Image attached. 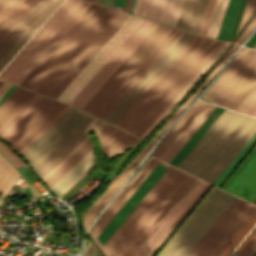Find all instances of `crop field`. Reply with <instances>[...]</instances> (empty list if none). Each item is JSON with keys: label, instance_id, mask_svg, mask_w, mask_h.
Segmentation results:
<instances>
[{"label": "crop field", "instance_id": "63", "mask_svg": "<svg viewBox=\"0 0 256 256\" xmlns=\"http://www.w3.org/2000/svg\"><path fill=\"white\" fill-rule=\"evenodd\" d=\"M11 84L3 82L0 86V97L7 91Z\"/></svg>", "mask_w": 256, "mask_h": 256}, {"label": "crop field", "instance_id": "64", "mask_svg": "<svg viewBox=\"0 0 256 256\" xmlns=\"http://www.w3.org/2000/svg\"><path fill=\"white\" fill-rule=\"evenodd\" d=\"M256 43V32L254 35L248 40V42L245 44L246 46L252 48L253 45Z\"/></svg>", "mask_w": 256, "mask_h": 256}, {"label": "crop field", "instance_id": "18", "mask_svg": "<svg viewBox=\"0 0 256 256\" xmlns=\"http://www.w3.org/2000/svg\"><path fill=\"white\" fill-rule=\"evenodd\" d=\"M159 164L164 165L166 167L169 166L161 161L159 162ZM159 164L153 169V171L148 175V177L143 181V183L138 187V189L133 193V195L128 199V201L113 217V219L109 222V224L99 234L97 238L102 243V245L107 241V239L111 236V234L116 230V228L121 224V222L126 218V216L140 201V199L145 195V193L150 189V187L165 171L166 167L161 166ZM97 238L94 241L101 248L102 245L97 240Z\"/></svg>", "mask_w": 256, "mask_h": 256}, {"label": "crop field", "instance_id": "22", "mask_svg": "<svg viewBox=\"0 0 256 256\" xmlns=\"http://www.w3.org/2000/svg\"><path fill=\"white\" fill-rule=\"evenodd\" d=\"M65 106H66V104H63V103L53 100L43 111H41L9 143L18 152L33 136H35Z\"/></svg>", "mask_w": 256, "mask_h": 256}, {"label": "crop field", "instance_id": "40", "mask_svg": "<svg viewBox=\"0 0 256 256\" xmlns=\"http://www.w3.org/2000/svg\"><path fill=\"white\" fill-rule=\"evenodd\" d=\"M256 143V133L253 137L248 141V143L244 146V148L239 152V154L234 158V160L230 163V165L225 169V171L220 175V177L215 181L214 185L220 187L221 184L226 180V178L231 174V172L236 168V166L241 162V160L245 157V155L250 151V149Z\"/></svg>", "mask_w": 256, "mask_h": 256}, {"label": "crop field", "instance_id": "50", "mask_svg": "<svg viewBox=\"0 0 256 256\" xmlns=\"http://www.w3.org/2000/svg\"><path fill=\"white\" fill-rule=\"evenodd\" d=\"M256 98V85L250 91V93L246 96V98L241 102V104L237 107L236 111L244 113L245 110L250 106V104Z\"/></svg>", "mask_w": 256, "mask_h": 256}, {"label": "crop field", "instance_id": "46", "mask_svg": "<svg viewBox=\"0 0 256 256\" xmlns=\"http://www.w3.org/2000/svg\"><path fill=\"white\" fill-rule=\"evenodd\" d=\"M41 95L36 94L30 101H28L16 114H14L2 127H0V135L11 126L31 105H33Z\"/></svg>", "mask_w": 256, "mask_h": 256}, {"label": "crop field", "instance_id": "13", "mask_svg": "<svg viewBox=\"0 0 256 256\" xmlns=\"http://www.w3.org/2000/svg\"><path fill=\"white\" fill-rule=\"evenodd\" d=\"M193 35L194 33L184 31L165 52V54L157 61V63L149 70V72L141 79V81L133 88V90L125 97V99L117 106V108L109 115L106 121L115 125Z\"/></svg>", "mask_w": 256, "mask_h": 256}, {"label": "crop field", "instance_id": "62", "mask_svg": "<svg viewBox=\"0 0 256 256\" xmlns=\"http://www.w3.org/2000/svg\"><path fill=\"white\" fill-rule=\"evenodd\" d=\"M107 125L105 122H101L96 128H94L92 131L94 132L95 136Z\"/></svg>", "mask_w": 256, "mask_h": 256}, {"label": "crop field", "instance_id": "31", "mask_svg": "<svg viewBox=\"0 0 256 256\" xmlns=\"http://www.w3.org/2000/svg\"><path fill=\"white\" fill-rule=\"evenodd\" d=\"M96 161L94 150L92 149L82 160H80L63 178H61L52 188L58 196L71 182L83 173L91 164Z\"/></svg>", "mask_w": 256, "mask_h": 256}, {"label": "crop field", "instance_id": "35", "mask_svg": "<svg viewBox=\"0 0 256 256\" xmlns=\"http://www.w3.org/2000/svg\"><path fill=\"white\" fill-rule=\"evenodd\" d=\"M227 42H224L221 47L213 54V56L206 62V64L198 71V73L190 80V82L183 88V90L175 97V99L167 106V108L159 115V117L152 123V125L141 136L143 138L149 134L153 128L160 122V120L167 114V112L174 106V104L182 97V95L189 89V87L196 81V79L204 72V70L211 64V62L218 56V54L225 48ZM228 46V45H227ZM226 46V47H227ZM220 55V54H219Z\"/></svg>", "mask_w": 256, "mask_h": 256}, {"label": "crop field", "instance_id": "56", "mask_svg": "<svg viewBox=\"0 0 256 256\" xmlns=\"http://www.w3.org/2000/svg\"><path fill=\"white\" fill-rule=\"evenodd\" d=\"M115 129L111 125H107L96 137L99 140V145L107 138V136Z\"/></svg>", "mask_w": 256, "mask_h": 256}, {"label": "crop field", "instance_id": "34", "mask_svg": "<svg viewBox=\"0 0 256 256\" xmlns=\"http://www.w3.org/2000/svg\"><path fill=\"white\" fill-rule=\"evenodd\" d=\"M93 148L90 139L82 145L68 160H66L52 175L44 182L50 188L58 181L71 167H73L85 154Z\"/></svg>", "mask_w": 256, "mask_h": 256}, {"label": "crop field", "instance_id": "51", "mask_svg": "<svg viewBox=\"0 0 256 256\" xmlns=\"http://www.w3.org/2000/svg\"><path fill=\"white\" fill-rule=\"evenodd\" d=\"M70 106H66L47 126H45L31 141H29L18 153H22L28 146H30L45 130H47L62 114H64Z\"/></svg>", "mask_w": 256, "mask_h": 256}, {"label": "crop field", "instance_id": "43", "mask_svg": "<svg viewBox=\"0 0 256 256\" xmlns=\"http://www.w3.org/2000/svg\"><path fill=\"white\" fill-rule=\"evenodd\" d=\"M140 140L139 138L127 133L118 143L117 145L106 155L108 158L107 161L111 160L114 158L116 155L124 151L126 148L134 144ZM106 161V162H107Z\"/></svg>", "mask_w": 256, "mask_h": 256}, {"label": "crop field", "instance_id": "28", "mask_svg": "<svg viewBox=\"0 0 256 256\" xmlns=\"http://www.w3.org/2000/svg\"><path fill=\"white\" fill-rule=\"evenodd\" d=\"M34 95L35 93L17 87L0 105V126Z\"/></svg>", "mask_w": 256, "mask_h": 256}, {"label": "crop field", "instance_id": "6", "mask_svg": "<svg viewBox=\"0 0 256 256\" xmlns=\"http://www.w3.org/2000/svg\"><path fill=\"white\" fill-rule=\"evenodd\" d=\"M234 198L213 187L157 256H187Z\"/></svg>", "mask_w": 256, "mask_h": 256}, {"label": "crop field", "instance_id": "75", "mask_svg": "<svg viewBox=\"0 0 256 256\" xmlns=\"http://www.w3.org/2000/svg\"><path fill=\"white\" fill-rule=\"evenodd\" d=\"M2 83V81H0V84Z\"/></svg>", "mask_w": 256, "mask_h": 256}, {"label": "crop field", "instance_id": "49", "mask_svg": "<svg viewBox=\"0 0 256 256\" xmlns=\"http://www.w3.org/2000/svg\"><path fill=\"white\" fill-rule=\"evenodd\" d=\"M256 253V232L236 256H253Z\"/></svg>", "mask_w": 256, "mask_h": 256}, {"label": "crop field", "instance_id": "70", "mask_svg": "<svg viewBox=\"0 0 256 256\" xmlns=\"http://www.w3.org/2000/svg\"><path fill=\"white\" fill-rule=\"evenodd\" d=\"M7 0H0V8Z\"/></svg>", "mask_w": 256, "mask_h": 256}, {"label": "crop field", "instance_id": "36", "mask_svg": "<svg viewBox=\"0 0 256 256\" xmlns=\"http://www.w3.org/2000/svg\"><path fill=\"white\" fill-rule=\"evenodd\" d=\"M256 222V212L252 215V217L247 221V223L242 227V229L237 233V235L232 239V241L227 245V247L222 251V253L219 256H226L225 254L227 253V251L230 250H234V248L238 245V243L242 240V238L246 235V233L251 229V227L255 224ZM256 225V224H255ZM254 225V226H255ZM253 226V227H254ZM252 227V229H253ZM251 229V230H252ZM250 230V231H251ZM249 231V232H250ZM256 231V226L254 227V229L248 234V236L243 240V242L237 247V249L235 250V254L232 251H228L227 255L229 256H234L238 253V251L243 247V245L248 241V239L253 235V233Z\"/></svg>", "mask_w": 256, "mask_h": 256}, {"label": "crop field", "instance_id": "45", "mask_svg": "<svg viewBox=\"0 0 256 256\" xmlns=\"http://www.w3.org/2000/svg\"><path fill=\"white\" fill-rule=\"evenodd\" d=\"M216 0H208L198 32L199 34H206L212 13H213V9L215 6Z\"/></svg>", "mask_w": 256, "mask_h": 256}, {"label": "crop field", "instance_id": "41", "mask_svg": "<svg viewBox=\"0 0 256 256\" xmlns=\"http://www.w3.org/2000/svg\"><path fill=\"white\" fill-rule=\"evenodd\" d=\"M16 170L0 155V191L6 188L13 176L16 174Z\"/></svg>", "mask_w": 256, "mask_h": 256}, {"label": "crop field", "instance_id": "3", "mask_svg": "<svg viewBox=\"0 0 256 256\" xmlns=\"http://www.w3.org/2000/svg\"><path fill=\"white\" fill-rule=\"evenodd\" d=\"M214 42L195 34L116 126L134 134Z\"/></svg>", "mask_w": 256, "mask_h": 256}, {"label": "crop field", "instance_id": "12", "mask_svg": "<svg viewBox=\"0 0 256 256\" xmlns=\"http://www.w3.org/2000/svg\"><path fill=\"white\" fill-rule=\"evenodd\" d=\"M155 24L144 19L70 104L81 109Z\"/></svg>", "mask_w": 256, "mask_h": 256}, {"label": "crop field", "instance_id": "14", "mask_svg": "<svg viewBox=\"0 0 256 256\" xmlns=\"http://www.w3.org/2000/svg\"><path fill=\"white\" fill-rule=\"evenodd\" d=\"M206 185L196 178L133 256H148Z\"/></svg>", "mask_w": 256, "mask_h": 256}, {"label": "crop field", "instance_id": "74", "mask_svg": "<svg viewBox=\"0 0 256 256\" xmlns=\"http://www.w3.org/2000/svg\"><path fill=\"white\" fill-rule=\"evenodd\" d=\"M253 203H255V204H256V199L253 201Z\"/></svg>", "mask_w": 256, "mask_h": 256}, {"label": "crop field", "instance_id": "76", "mask_svg": "<svg viewBox=\"0 0 256 256\" xmlns=\"http://www.w3.org/2000/svg\"><path fill=\"white\" fill-rule=\"evenodd\" d=\"M90 1V0H89Z\"/></svg>", "mask_w": 256, "mask_h": 256}, {"label": "crop field", "instance_id": "39", "mask_svg": "<svg viewBox=\"0 0 256 256\" xmlns=\"http://www.w3.org/2000/svg\"><path fill=\"white\" fill-rule=\"evenodd\" d=\"M36 0H23L0 26V40Z\"/></svg>", "mask_w": 256, "mask_h": 256}, {"label": "crop field", "instance_id": "61", "mask_svg": "<svg viewBox=\"0 0 256 256\" xmlns=\"http://www.w3.org/2000/svg\"><path fill=\"white\" fill-rule=\"evenodd\" d=\"M19 173L17 172V174L15 175V177L12 179V181L10 182V184L8 185V187L5 189V191L3 192V194L0 197V204L4 198V196L6 195V193L9 191V189L11 188V186L14 184V182L16 181V179L19 177Z\"/></svg>", "mask_w": 256, "mask_h": 256}, {"label": "crop field", "instance_id": "8", "mask_svg": "<svg viewBox=\"0 0 256 256\" xmlns=\"http://www.w3.org/2000/svg\"><path fill=\"white\" fill-rule=\"evenodd\" d=\"M194 179L182 172L113 256H132Z\"/></svg>", "mask_w": 256, "mask_h": 256}, {"label": "crop field", "instance_id": "5", "mask_svg": "<svg viewBox=\"0 0 256 256\" xmlns=\"http://www.w3.org/2000/svg\"><path fill=\"white\" fill-rule=\"evenodd\" d=\"M176 30L157 23L82 110L100 118Z\"/></svg>", "mask_w": 256, "mask_h": 256}, {"label": "crop field", "instance_id": "27", "mask_svg": "<svg viewBox=\"0 0 256 256\" xmlns=\"http://www.w3.org/2000/svg\"><path fill=\"white\" fill-rule=\"evenodd\" d=\"M207 0H184L177 27L197 32Z\"/></svg>", "mask_w": 256, "mask_h": 256}, {"label": "crop field", "instance_id": "71", "mask_svg": "<svg viewBox=\"0 0 256 256\" xmlns=\"http://www.w3.org/2000/svg\"><path fill=\"white\" fill-rule=\"evenodd\" d=\"M252 116H255V117H256V110L253 112Z\"/></svg>", "mask_w": 256, "mask_h": 256}, {"label": "crop field", "instance_id": "58", "mask_svg": "<svg viewBox=\"0 0 256 256\" xmlns=\"http://www.w3.org/2000/svg\"><path fill=\"white\" fill-rule=\"evenodd\" d=\"M227 1L228 0H224V2H223V5H222V8H221L219 17H218V21H217V24H216V27H215V30H214V33H213V36H212L213 38H216L218 29H219V26H220V23H221V20H222V17H223V14H224V11H225V8H226V5H227Z\"/></svg>", "mask_w": 256, "mask_h": 256}, {"label": "crop field", "instance_id": "73", "mask_svg": "<svg viewBox=\"0 0 256 256\" xmlns=\"http://www.w3.org/2000/svg\"><path fill=\"white\" fill-rule=\"evenodd\" d=\"M253 49H256V44L254 45Z\"/></svg>", "mask_w": 256, "mask_h": 256}, {"label": "crop field", "instance_id": "69", "mask_svg": "<svg viewBox=\"0 0 256 256\" xmlns=\"http://www.w3.org/2000/svg\"><path fill=\"white\" fill-rule=\"evenodd\" d=\"M134 3H135V0H133V2H132V5H131V8H130V13L132 12V9H133V6H134Z\"/></svg>", "mask_w": 256, "mask_h": 256}, {"label": "crop field", "instance_id": "10", "mask_svg": "<svg viewBox=\"0 0 256 256\" xmlns=\"http://www.w3.org/2000/svg\"><path fill=\"white\" fill-rule=\"evenodd\" d=\"M142 20L143 18L130 15L120 26V28L112 35V37L105 43V45L90 60V62L75 77V79L60 94L57 100L69 104Z\"/></svg>", "mask_w": 256, "mask_h": 256}, {"label": "crop field", "instance_id": "15", "mask_svg": "<svg viewBox=\"0 0 256 256\" xmlns=\"http://www.w3.org/2000/svg\"><path fill=\"white\" fill-rule=\"evenodd\" d=\"M248 205L236 197L188 256H207Z\"/></svg>", "mask_w": 256, "mask_h": 256}, {"label": "crop field", "instance_id": "72", "mask_svg": "<svg viewBox=\"0 0 256 256\" xmlns=\"http://www.w3.org/2000/svg\"><path fill=\"white\" fill-rule=\"evenodd\" d=\"M91 1H92V2H95V3L97 2V0H91Z\"/></svg>", "mask_w": 256, "mask_h": 256}, {"label": "crop field", "instance_id": "25", "mask_svg": "<svg viewBox=\"0 0 256 256\" xmlns=\"http://www.w3.org/2000/svg\"><path fill=\"white\" fill-rule=\"evenodd\" d=\"M214 107L215 105L211 106L205 104L203 108L197 113V115L191 120V122L185 127V129L180 133V135L174 140V142L168 147V149L162 154L160 159L169 163L170 160L194 133V131L214 109Z\"/></svg>", "mask_w": 256, "mask_h": 256}, {"label": "crop field", "instance_id": "42", "mask_svg": "<svg viewBox=\"0 0 256 256\" xmlns=\"http://www.w3.org/2000/svg\"><path fill=\"white\" fill-rule=\"evenodd\" d=\"M210 187L211 185L209 184L206 186V188L201 192V194L196 198V200L191 204V206L186 210V212L181 216V218L176 222V224L171 228V230L165 235V237L160 241V243L155 247V249L150 253L149 256H153L158 251V249L174 232V230L179 226V224L184 220V218L189 214V212L194 208V206L199 202V200L204 196V194L209 190Z\"/></svg>", "mask_w": 256, "mask_h": 256}, {"label": "crop field", "instance_id": "48", "mask_svg": "<svg viewBox=\"0 0 256 256\" xmlns=\"http://www.w3.org/2000/svg\"><path fill=\"white\" fill-rule=\"evenodd\" d=\"M22 0H8L0 9V25Z\"/></svg>", "mask_w": 256, "mask_h": 256}, {"label": "crop field", "instance_id": "30", "mask_svg": "<svg viewBox=\"0 0 256 256\" xmlns=\"http://www.w3.org/2000/svg\"><path fill=\"white\" fill-rule=\"evenodd\" d=\"M204 103L196 101L193 106L178 120V122L171 128L170 132L159 144V146L153 152V156L159 158L181 130L187 125L197 111L202 107Z\"/></svg>", "mask_w": 256, "mask_h": 256}, {"label": "crop field", "instance_id": "68", "mask_svg": "<svg viewBox=\"0 0 256 256\" xmlns=\"http://www.w3.org/2000/svg\"><path fill=\"white\" fill-rule=\"evenodd\" d=\"M16 88V86L12 85V87L3 95L0 99V103Z\"/></svg>", "mask_w": 256, "mask_h": 256}, {"label": "crop field", "instance_id": "4", "mask_svg": "<svg viewBox=\"0 0 256 256\" xmlns=\"http://www.w3.org/2000/svg\"><path fill=\"white\" fill-rule=\"evenodd\" d=\"M90 4L83 0H65L1 72L0 79L19 85Z\"/></svg>", "mask_w": 256, "mask_h": 256}, {"label": "crop field", "instance_id": "66", "mask_svg": "<svg viewBox=\"0 0 256 256\" xmlns=\"http://www.w3.org/2000/svg\"><path fill=\"white\" fill-rule=\"evenodd\" d=\"M256 109V100L251 104V106L246 110L245 114L251 115L252 112Z\"/></svg>", "mask_w": 256, "mask_h": 256}, {"label": "crop field", "instance_id": "16", "mask_svg": "<svg viewBox=\"0 0 256 256\" xmlns=\"http://www.w3.org/2000/svg\"><path fill=\"white\" fill-rule=\"evenodd\" d=\"M182 105L178 108V110L171 116V118L166 122V124L159 130V132L151 139V141L145 146V148L126 166V168L118 175V177L112 182L109 188L101 195V197L90 206L84 216L83 227L85 231L91 224L92 220L99 213V211L108 203V201L112 198V196L116 193L119 187L123 184V182L130 175L132 170L138 164V162L142 159V157L146 154V152L152 147V145L158 140V138L162 135V133L166 130V128L170 125V123L180 114V112L184 109Z\"/></svg>", "mask_w": 256, "mask_h": 256}, {"label": "crop field", "instance_id": "17", "mask_svg": "<svg viewBox=\"0 0 256 256\" xmlns=\"http://www.w3.org/2000/svg\"><path fill=\"white\" fill-rule=\"evenodd\" d=\"M222 189L250 202L256 197V147L223 185Z\"/></svg>", "mask_w": 256, "mask_h": 256}, {"label": "crop field", "instance_id": "54", "mask_svg": "<svg viewBox=\"0 0 256 256\" xmlns=\"http://www.w3.org/2000/svg\"><path fill=\"white\" fill-rule=\"evenodd\" d=\"M222 2H223V0H217L216 6L214 9V13H213V16H212V19H211V22H210V25H209V28H208V31L206 34L207 36H210V37L212 36Z\"/></svg>", "mask_w": 256, "mask_h": 256}, {"label": "crop field", "instance_id": "24", "mask_svg": "<svg viewBox=\"0 0 256 256\" xmlns=\"http://www.w3.org/2000/svg\"><path fill=\"white\" fill-rule=\"evenodd\" d=\"M223 42L216 41L213 46L206 52V54L198 61V63L191 69V71L183 78V80L176 86V88L168 95V97L160 104V106L153 112V114L145 121V123L135 133L141 136L153 120L160 114V112L169 104V102L177 95V93L186 85V83L194 76V74L203 66V64L211 57V55L220 47Z\"/></svg>", "mask_w": 256, "mask_h": 256}, {"label": "crop field", "instance_id": "38", "mask_svg": "<svg viewBox=\"0 0 256 256\" xmlns=\"http://www.w3.org/2000/svg\"><path fill=\"white\" fill-rule=\"evenodd\" d=\"M240 0H229L217 38L227 40Z\"/></svg>", "mask_w": 256, "mask_h": 256}, {"label": "crop field", "instance_id": "33", "mask_svg": "<svg viewBox=\"0 0 256 256\" xmlns=\"http://www.w3.org/2000/svg\"><path fill=\"white\" fill-rule=\"evenodd\" d=\"M62 0H54L49 7L41 14V16L34 22V24L26 31V33L18 40V42L10 49V51L0 61V70L11 59V57L19 50V48L26 42V40L33 34V32L40 26V24L48 17V15L55 9V7Z\"/></svg>", "mask_w": 256, "mask_h": 256}, {"label": "crop field", "instance_id": "47", "mask_svg": "<svg viewBox=\"0 0 256 256\" xmlns=\"http://www.w3.org/2000/svg\"><path fill=\"white\" fill-rule=\"evenodd\" d=\"M238 47V45L234 44L231 51L222 59V61L215 67V69L211 72V74L206 78V80L201 84V86L184 102L185 105L189 104L190 101L195 97V95L200 91V89L215 75V73L219 70V68L224 64L227 58L231 55V53Z\"/></svg>", "mask_w": 256, "mask_h": 256}, {"label": "crop field", "instance_id": "23", "mask_svg": "<svg viewBox=\"0 0 256 256\" xmlns=\"http://www.w3.org/2000/svg\"><path fill=\"white\" fill-rule=\"evenodd\" d=\"M156 161L157 159L150 158L148 162L142 167V169L137 173V175L131 180V182L127 186H125L122 191L117 195V197L108 207V209L97 221L96 225L89 232L92 238L110 218V216L115 212V210L120 206V204L125 200V198L130 194V192L135 188V186L140 182V180L145 176V174L150 170V168L155 164Z\"/></svg>", "mask_w": 256, "mask_h": 256}, {"label": "crop field", "instance_id": "26", "mask_svg": "<svg viewBox=\"0 0 256 256\" xmlns=\"http://www.w3.org/2000/svg\"><path fill=\"white\" fill-rule=\"evenodd\" d=\"M97 4H91L89 8L81 15V17L72 25V27L64 34V36L56 43V45L48 52V54L40 61V63L31 71V73L23 80L20 86L26 88L43 67L51 60L58 50L66 43L80 25L95 10Z\"/></svg>", "mask_w": 256, "mask_h": 256}, {"label": "crop field", "instance_id": "21", "mask_svg": "<svg viewBox=\"0 0 256 256\" xmlns=\"http://www.w3.org/2000/svg\"><path fill=\"white\" fill-rule=\"evenodd\" d=\"M53 0H37L0 41V60Z\"/></svg>", "mask_w": 256, "mask_h": 256}, {"label": "crop field", "instance_id": "32", "mask_svg": "<svg viewBox=\"0 0 256 256\" xmlns=\"http://www.w3.org/2000/svg\"><path fill=\"white\" fill-rule=\"evenodd\" d=\"M182 32L183 30H177V32L169 39V41L161 48V50L154 56V58L147 64V66L140 72V74L132 81V83L104 113L101 119L105 120L108 117V115L116 108V106L124 99V97L132 90V88L140 81V79L147 73V71L155 64V62L163 55V53L171 46V44L179 37Z\"/></svg>", "mask_w": 256, "mask_h": 256}, {"label": "crop field", "instance_id": "55", "mask_svg": "<svg viewBox=\"0 0 256 256\" xmlns=\"http://www.w3.org/2000/svg\"><path fill=\"white\" fill-rule=\"evenodd\" d=\"M0 151L16 166H21L23 165V163L15 156L13 155L8 149L7 147L0 142Z\"/></svg>", "mask_w": 256, "mask_h": 256}, {"label": "crop field", "instance_id": "65", "mask_svg": "<svg viewBox=\"0 0 256 256\" xmlns=\"http://www.w3.org/2000/svg\"><path fill=\"white\" fill-rule=\"evenodd\" d=\"M95 165V163L90 167L88 168L76 181H74L64 192H62L61 194H64L67 190H69L82 176H84L93 166ZM60 194V195H61ZM59 195V196H60ZM58 196V197H59Z\"/></svg>", "mask_w": 256, "mask_h": 256}, {"label": "crop field", "instance_id": "67", "mask_svg": "<svg viewBox=\"0 0 256 256\" xmlns=\"http://www.w3.org/2000/svg\"><path fill=\"white\" fill-rule=\"evenodd\" d=\"M98 4L106 5V6H112L113 0H98Z\"/></svg>", "mask_w": 256, "mask_h": 256}, {"label": "crop field", "instance_id": "53", "mask_svg": "<svg viewBox=\"0 0 256 256\" xmlns=\"http://www.w3.org/2000/svg\"><path fill=\"white\" fill-rule=\"evenodd\" d=\"M255 6H256V0H248L247 1V4H246V7H245V10H244L242 19H241V23H240L238 32L241 29V27L244 25L246 20L249 18V16L251 15V13H252L253 9L255 8Z\"/></svg>", "mask_w": 256, "mask_h": 256}, {"label": "crop field", "instance_id": "11", "mask_svg": "<svg viewBox=\"0 0 256 256\" xmlns=\"http://www.w3.org/2000/svg\"><path fill=\"white\" fill-rule=\"evenodd\" d=\"M88 116L71 107L21 155L34 168Z\"/></svg>", "mask_w": 256, "mask_h": 256}, {"label": "crop field", "instance_id": "60", "mask_svg": "<svg viewBox=\"0 0 256 256\" xmlns=\"http://www.w3.org/2000/svg\"><path fill=\"white\" fill-rule=\"evenodd\" d=\"M158 162L159 160L156 162V164ZM155 165L151 168V170L155 167ZM150 171L146 174V176L150 173ZM145 177L141 180V182L145 179ZM141 182L136 186V188L141 184ZM136 188L131 192V194L136 190ZM131 194L126 198V200L131 196ZM126 200L121 204V206L126 202ZM121 206L116 210V212L121 208ZM116 212L111 216V218L116 214ZM111 218L106 222V224L111 220ZM106 224L101 228V230L106 226ZM101 230L96 234V236L101 232ZM96 236L93 238V240L96 238Z\"/></svg>", "mask_w": 256, "mask_h": 256}, {"label": "crop field", "instance_id": "19", "mask_svg": "<svg viewBox=\"0 0 256 256\" xmlns=\"http://www.w3.org/2000/svg\"><path fill=\"white\" fill-rule=\"evenodd\" d=\"M100 122L101 120L90 115L82 124H80L63 142H61L34 168L40 178Z\"/></svg>", "mask_w": 256, "mask_h": 256}, {"label": "crop field", "instance_id": "29", "mask_svg": "<svg viewBox=\"0 0 256 256\" xmlns=\"http://www.w3.org/2000/svg\"><path fill=\"white\" fill-rule=\"evenodd\" d=\"M52 99L42 96L33 106H31L11 127H9L0 137L10 141L19 131H21L41 110H43Z\"/></svg>", "mask_w": 256, "mask_h": 256}, {"label": "crop field", "instance_id": "59", "mask_svg": "<svg viewBox=\"0 0 256 256\" xmlns=\"http://www.w3.org/2000/svg\"><path fill=\"white\" fill-rule=\"evenodd\" d=\"M256 26V15L255 17L252 19V21L250 22V24L248 25V27L246 28V30L244 31V33L242 34V36L239 38V40L237 41L238 44H241V42L243 41V39L247 36V34Z\"/></svg>", "mask_w": 256, "mask_h": 256}, {"label": "crop field", "instance_id": "2", "mask_svg": "<svg viewBox=\"0 0 256 256\" xmlns=\"http://www.w3.org/2000/svg\"><path fill=\"white\" fill-rule=\"evenodd\" d=\"M256 132V119L225 109L178 168L211 184Z\"/></svg>", "mask_w": 256, "mask_h": 256}, {"label": "crop field", "instance_id": "52", "mask_svg": "<svg viewBox=\"0 0 256 256\" xmlns=\"http://www.w3.org/2000/svg\"><path fill=\"white\" fill-rule=\"evenodd\" d=\"M89 134L78 143L65 157H63L49 172H47L41 179L44 181L56 168H58L76 149H78L88 138Z\"/></svg>", "mask_w": 256, "mask_h": 256}, {"label": "crop field", "instance_id": "1", "mask_svg": "<svg viewBox=\"0 0 256 256\" xmlns=\"http://www.w3.org/2000/svg\"><path fill=\"white\" fill-rule=\"evenodd\" d=\"M128 16L99 5L27 89L56 99Z\"/></svg>", "mask_w": 256, "mask_h": 256}, {"label": "crop field", "instance_id": "9", "mask_svg": "<svg viewBox=\"0 0 256 256\" xmlns=\"http://www.w3.org/2000/svg\"><path fill=\"white\" fill-rule=\"evenodd\" d=\"M181 171L169 166L113 235L101 248L106 256H112L175 179L180 175Z\"/></svg>", "mask_w": 256, "mask_h": 256}, {"label": "crop field", "instance_id": "44", "mask_svg": "<svg viewBox=\"0 0 256 256\" xmlns=\"http://www.w3.org/2000/svg\"><path fill=\"white\" fill-rule=\"evenodd\" d=\"M125 134L126 132L116 128L100 145L102 152L106 155Z\"/></svg>", "mask_w": 256, "mask_h": 256}, {"label": "crop field", "instance_id": "57", "mask_svg": "<svg viewBox=\"0 0 256 256\" xmlns=\"http://www.w3.org/2000/svg\"><path fill=\"white\" fill-rule=\"evenodd\" d=\"M131 2H132V0H126V3H125V0H114V5H118V6H124V3H125V6H124V8H122V7H118V6H112L113 8H117V9H121V10H123V11H126V12H128L129 11V8H130V5H131Z\"/></svg>", "mask_w": 256, "mask_h": 256}, {"label": "crop field", "instance_id": "20", "mask_svg": "<svg viewBox=\"0 0 256 256\" xmlns=\"http://www.w3.org/2000/svg\"><path fill=\"white\" fill-rule=\"evenodd\" d=\"M158 1L136 0L132 13L152 20ZM182 3L183 0H160L153 20L175 26Z\"/></svg>", "mask_w": 256, "mask_h": 256}, {"label": "crop field", "instance_id": "37", "mask_svg": "<svg viewBox=\"0 0 256 256\" xmlns=\"http://www.w3.org/2000/svg\"><path fill=\"white\" fill-rule=\"evenodd\" d=\"M255 211V206H253L252 208L248 207L208 256L219 255Z\"/></svg>", "mask_w": 256, "mask_h": 256}, {"label": "crop field", "instance_id": "7", "mask_svg": "<svg viewBox=\"0 0 256 256\" xmlns=\"http://www.w3.org/2000/svg\"><path fill=\"white\" fill-rule=\"evenodd\" d=\"M256 84V51L242 47L203 99L235 110Z\"/></svg>", "mask_w": 256, "mask_h": 256}]
</instances>
